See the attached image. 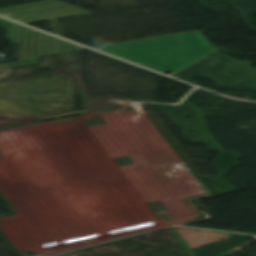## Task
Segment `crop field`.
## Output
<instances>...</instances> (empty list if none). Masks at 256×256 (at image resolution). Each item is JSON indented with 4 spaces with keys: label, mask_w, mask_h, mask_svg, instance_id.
<instances>
[{
    "label": "crop field",
    "mask_w": 256,
    "mask_h": 256,
    "mask_svg": "<svg viewBox=\"0 0 256 256\" xmlns=\"http://www.w3.org/2000/svg\"><path fill=\"white\" fill-rule=\"evenodd\" d=\"M95 49L160 73L172 72L174 74L215 52V49L199 31L97 47Z\"/></svg>",
    "instance_id": "crop-field-1"
},
{
    "label": "crop field",
    "mask_w": 256,
    "mask_h": 256,
    "mask_svg": "<svg viewBox=\"0 0 256 256\" xmlns=\"http://www.w3.org/2000/svg\"><path fill=\"white\" fill-rule=\"evenodd\" d=\"M11 43L19 44L18 60L82 49L77 45L44 35L0 18Z\"/></svg>",
    "instance_id": "crop-field-2"
},
{
    "label": "crop field",
    "mask_w": 256,
    "mask_h": 256,
    "mask_svg": "<svg viewBox=\"0 0 256 256\" xmlns=\"http://www.w3.org/2000/svg\"><path fill=\"white\" fill-rule=\"evenodd\" d=\"M68 8H74V7L54 1V0H50V1L2 8L0 9V14L6 15L11 18H15V17L44 13V12L68 9Z\"/></svg>",
    "instance_id": "crop-field-3"
},
{
    "label": "crop field",
    "mask_w": 256,
    "mask_h": 256,
    "mask_svg": "<svg viewBox=\"0 0 256 256\" xmlns=\"http://www.w3.org/2000/svg\"><path fill=\"white\" fill-rule=\"evenodd\" d=\"M86 14H90V12H87V11H84V10H81V9H78V8H74V9L50 12V13L27 16V17H21V18H15V19L19 20V21H22L24 23H29V22H36V21H44V20H51V19L79 16V15H86Z\"/></svg>",
    "instance_id": "crop-field-4"
},
{
    "label": "crop field",
    "mask_w": 256,
    "mask_h": 256,
    "mask_svg": "<svg viewBox=\"0 0 256 256\" xmlns=\"http://www.w3.org/2000/svg\"><path fill=\"white\" fill-rule=\"evenodd\" d=\"M32 60H35V62L25 63V64H19V65H13V66H8V65H11V64H17V63H22V62H27V61H32ZM39 60H40V57H38V58H32V59H26V60H20V61H15V62H9V63H6V69L13 68V67H17V66L36 64V63H39Z\"/></svg>",
    "instance_id": "crop-field-5"
}]
</instances>
